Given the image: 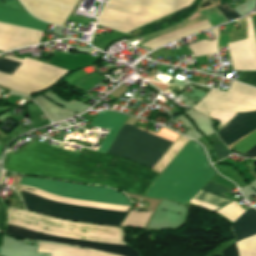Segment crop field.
Wrapping results in <instances>:
<instances>
[{"mask_svg":"<svg viewBox=\"0 0 256 256\" xmlns=\"http://www.w3.org/2000/svg\"><path fill=\"white\" fill-rule=\"evenodd\" d=\"M215 152L217 156V160H220L228 155H230L226 150H224L220 145L215 146Z\"/></svg>","mask_w":256,"mask_h":256,"instance_id":"obj_25","label":"crop field"},{"mask_svg":"<svg viewBox=\"0 0 256 256\" xmlns=\"http://www.w3.org/2000/svg\"><path fill=\"white\" fill-rule=\"evenodd\" d=\"M192 108L203 113L255 111L256 89L233 81L228 92L210 89L206 97ZM255 144L256 131L231 149L242 154ZM244 155L256 157V145Z\"/></svg>","mask_w":256,"mask_h":256,"instance_id":"obj_6","label":"crop field"},{"mask_svg":"<svg viewBox=\"0 0 256 256\" xmlns=\"http://www.w3.org/2000/svg\"><path fill=\"white\" fill-rule=\"evenodd\" d=\"M5 169L28 175L105 185L144 196L158 174L125 160L81 148L78 154L31 142L7 153Z\"/></svg>","mask_w":256,"mask_h":256,"instance_id":"obj_1","label":"crop field"},{"mask_svg":"<svg viewBox=\"0 0 256 256\" xmlns=\"http://www.w3.org/2000/svg\"><path fill=\"white\" fill-rule=\"evenodd\" d=\"M38 252L52 253V256H115L93 250L70 248L40 243Z\"/></svg>","mask_w":256,"mask_h":256,"instance_id":"obj_16","label":"crop field"},{"mask_svg":"<svg viewBox=\"0 0 256 256\" xmlns=\"http://www.w3.org/2000/svg\"><path fill=\"white\" fill-rule=\"evenodd\" d=\"M221 256H237L235 243L221 251Z\"/></svg>","mask_w":256,"mask_h":256,"instance_id":"obj_24","label":"crop field"},{"mask_svg":"<svg viewBox=\"0 0 256 256\" xmlns=\"http://www.w3.org/2000/svg\"><path fill=\"white\" fill-rule=\"evenodd\" d=\"M201 190L205 191V192H208V193H211L213 195H216L218 197H221V198H224L226 200H229L231 198L223 195L222 193L227 191L228 189L226 188H223V187H220L218 185H215V184H212L210 182H208ZM205 192H200L196 197V199H199L201 201H204L206 203H209L211 205H214V206H219L225 202H227L226 200H223L221 198H218V197H215L213 195H210V194H207Z\"/></svg>","mask_w":256,"mask_h":256,"instance_id":"obj_17","label":"crop field"},{"mask_svg":"<svg viewBox=\"0 0 256 256\" xmlns=\"http://www.w3.org/2000/svg\"><path fill=\"white\" fill-rule=\"evenodd\" d=\"M126 115H122L112 111H99L90 125L110 129L106 139L98 149V152L106 153L111 142L119 131L122 123L124 122Z\"/></svg>","mask_w":256,"mask_h":256,"instance_id":"obj_13","label":"crop field"},{"mask_svg":"<svg viewBox=\"0 0 256 256\" xmlns=\"http://www.w3.org/2000/svg\"><path fill=\"white\" fill-rule=\"evenodd\" d=\"M171 144L135 126L123 124L107 154L125 157L152 168Z\"/></svg>","mask_w":256,"mask_h":256,"instance_id":"obj_7","label":"crop field"},{"mask_svg":"<svg viewBox=\"0 0 256 256\" xmlns=\"http://www.w3.org/2000/svg\"><path fill=\"white\" fill-rule=\"evenodd\" d=\"M2 181H3V171H2V177H1V183H0V185L2 184Z\"/></svg>","mask_w":256,"mask_h":256,"instance_id":"obj_27","label":"crop field"},{"mask_svg":"<svg viewBox=\"0 0 256 256\" xmlns=\"http://www.w3.org/2000/svg\"><path fill=\"white\" fill-rule=\"evenodd\" d=\"M169 1H175V2H181V3H187L190 4L192 0H169Z\"/></svg>","mask_w":256,"mask_h":256,"instance_id":"obj_26","label":"crop field"},{"mask_svg":"<svg viewBox=\"0 0 256 256\" xmlns=\"http://www.w3.org/2000/svg\"><path fill=\"white\" fill-rule=\"evenodd\" d=\"M19 184L32 186L34 188L42 189L49 193L57 194V195L68 197V198L123 204V205L130 206V203H129L130 201L128 202V200L122 194L106 188L69 184V183L44 180V179L22 178V177L20 179ZM22 187L35 190V192H32V191H29V192L35 195H38L40 197H43L45 199L56 201V202L86 205V206L106 208V209H112V210H118V211H124V212H128L130 208L129 206H123V205L68 199V198L52 195L42 190L34 189L32 187H27V186H22ZM26 191L21 190L22 199L26 209H29L35 213H39L42 215L61 218V219L76 220L80 222L105 224L108 226H118L126 216V213H123V212L92 208V207H86V206H79V205L56 203V202L45 200L43 198L35 196Z\"/></svg>","mask_w":256,"mask_h":256,"instance_id":"obj_2","label":"crop field"},{"mask_svg":"<svg viewBox=\"0 0 256 256\" xmlns=\"http://www.w3.org/2000/svg\"><path fill=\"white\" fill-rule=\"evenodd\" d=\"M3 58L22 64L12 76L0 73V85L29 95L45 89L68 72L26 57L24 60L9 56Z\"/></svg>","mask_w":256,"mask_h":256,"instance_id":"obj_8","label":"crop field"},{"mask_svg":"<svg viewBox=\"0 0 256 256\" xmlns=\"http://www.w3.org/2000/svg\"><path fill=\"white\" fill-rule=\"evenodd\" d=\"M208 27H210V24L207 22V20H205V21H202L200 23L194 24L192 26L185 27V28L173 31L171 33L159 36L157 38H154V39L148 41L147 43L143 44V46L154 49L155 47H157L161 44L167 43V42L172 41V40L179 39V38L184 37L186 35H189V34L197 32V31L206 29Z\"/></svg>","mask_w":256,"mask_h":256,"instance_id":"obj_15","label":"crop field"},{"mask_svg":"<svg viewBox=\"0 0 256 256\" xmlns=\"http://www.w3.org/2000/svg\"><path fill=\"white\" fill-rule=\"evenodd\" d=\"M0 6L25 11L18 0H0ZM3 7H0V22L44 32L47 23L34 19L29 13Z\"/></svg>","mask_w":256,"mask_h":256,"instance_id":"obj_11","label":"crop field"},{"mask_svg":"<svg viewBox=\"0 0 256 256\" xmlns=\"http://www.w3.org/2000/svg\"><path fill=\"white\" fill-rule=\"evenodd\" d=\"M7 213L8 223L16 224L20 227L31 229L34 231L50 235L72 237L97 242L125 244L122 241L121 228H109L90 224L50 219L20 209H18L17 211L7 210ZM11 224H8L6 233L16 237L89 247L104 252L119 254L122 256H138V253L128 245L97 243L78 239L50 236L23 229Z\"/></svg>","mask_w":256,"mask_h":256,"instance_id":"obj_3","label":"crop field"},{"mask_svg":"<svg viewBox=\"0 0 256 256\" xmlns=\"http://www.w3.org/2000/svg\"><path fill=\"white\" fill-rule=\"evenodd\" d=\"M239 82L256 86V72H243Z\"/></svg>","mask_w":256,"mask_h":256,"instance_id":"obj_22","label":"crop field"},{"mask_svg":"<svg viewBox=\"0 0 256 256\" xmlns=\"http://www.w3.org/2000/svg\"><path fill=\"white\" fill-rule=\"evenodd\" d=\"M256 31V16H253ZM252 17L247 20V39L229 43L233 70H256V37Z\"/></svg>","mask_w":256,"mask_h":256,"instance_id":"obj_9","label":"crop field"},{"mask_svg":"<svg viewBox=\"0 0 256 256\" xmlns=\"http://www.w3.org/2000/svg\"><path fill=\"white\" fill-rule=\"evenodd\" d=\"M185 6L162 0H109L97 24L126 32Z\"/></svg>","mask_w":256,"mask_h":256,"instance_id":"obj_5","label":"crop field"},{"mask_svg":"<svg viewBox=\"0 0 256 256\" xmlns=\"http://www.w3.org/2000/svg\"><path fill=\"white\" fill-rule=\"evenodd\" d=\"M254 129H256V111L237 113L230 122L218 131V134L228 146Z\"/></svg>","mask_w":256,"mask_h":256,"instance_id":"obj_12","label":"crop field"},{"mask_svg":"<svg viewBox=\"0 0 256 256\" xmlns=\"http://www.w3.org/2000/svg\"><path fill=\"white\" fill-rule=\"evenodd\" d=\"M236 113H223V114H209L208 116L219 119L221 124H225L230 120Z\"/></svg>","mask_w":256,"mask_h":256,"instance_id":"obj_23","label":"crop field"},{"mask_svg":"<svg viewBox=\"0 0 256 256\" xmlns=\"http://www.w3.org/2000/svg\"><path fill=\"white\" fill-rule=\"evenodd\" d=\"M78 0H21L36 17L63 26Z\"/></svg>","mask_w":256,"mask_h":256,"instance_id":"obj_10","label":"crop field"},{"mask_svg":"<svg viewBox=\"0 0 256 256\" xmlns=\"http://www.w3.org/2000/svg\"><path fill=\"white\" fill-rule=\"evenodd\" d=\"M19 65L20 63L0 58V72L12 75Z\"/></svg>","mask_w":256,"mask_h":256,"instance_id":"obj_20","label":"crop field"},{"mask_svg":"<svg viewBox=\"0 0 256 256\" xmlns=\"http://www.w3.org/2000/svg\"><path fill=\"white\" fill-rule=\"evenodd\" d=\"M0 50H2V51H6L7 49L0 48Z\"/></svg>","mask_w":256,"mask_h":256,"instance_id":"obj_28","label":"crop field"},{"mask_svg":"<svg viewBox=\"0 0 256 256\" xmlns=\"http://www.w3.org/2000/svg\"><path fill=\"white\" fill-rule=\"evenodd\" d=\"M236 241L243 240L256 234V211L251 208L242 214L231 225Z\"/></svg>","mask_w":256,"mask_h":256,"instance_id":"obj_14","label":"crop field"},{"mask_svg":"<svg viewBox=\"0 0 256 256\" xmlns=\"http://www.w3.org/2000/svg\"><path fill=\"white\" fill-rule=\"evenodd\" d=\"M211 31L215 33L216 40L214 41L201 40L197 43L189 45V48L191 49L195 57L217 53L218 27L211 29Z\"/></svg>","mask_w":256,"mask_h":256,"instance_id":"obj_19","label":"crop field"},{"mask_svg":"<svg viewBox=\"0 0 256 256\" xmlns=\"http://www.w3.org/2000/svg\"><path fill=\"white\" fill-rule=\"evenodd\" d=\"M162 174L167 189L185 202L215 175L207 165L201 148L191 141ZM172 194L165 189L160 176L147 196L156 199L161 197L183 203Z\"/></svg>","mask_w":256,"mask_h":256,"instance_id":"obj_4","label":"crop field"},{"mask_svg":"<svg viewBox=\"0 0 256 256\" xmlns=\"http://www.w3.org/2000/svg\"><path fill=\"white\" fill-rule=\"evenodd\" d=\"M188 140V138L180 135L178 139L172 144V146L167 150V152L156 163V165L152 168V171L161 173Z\"/></svg>","mask_w":256,"mask_h":256,"instance_id":"obj_18","label":"crop field"},{"mask_svg":"<svg viewBox=\"0 0 256 256\" xmlns=\"http://www.w3.org/2000/svg\"><path fill=\"white\" fill-rule=\"evenodd\" d=\"M219 11L226 17L228 21L240 17L235 11H233L227 4L217 6Z\"/></svg>","mask_w":256,"mask_h":256,"instance_id":"obj_21","label":"crop field"}]
</instances>
